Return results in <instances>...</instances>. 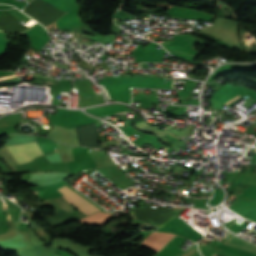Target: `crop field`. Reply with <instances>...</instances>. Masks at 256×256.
<instances>
[{"instance_id": "1", "label": "crop field", "mask_w": 256, "mask_h": 256, "mask_svg": "<svg viewBox=\"0 0 256 256\" xmlns=\"http://www.w3.org/2000/svg\"><path fill=\"white\" fill-rule=\"evenodd\" d=\"M7 148L10 150L19 164L30 162L32 158L42 154L36 142L9 145Z\"/></svg>"}, {"instance_id": "2", "label": "crop field", "mask_w": 256, "mask_h": 256, "mask_svg": "<svg viewBox=\"0 0 256 256\" xmlns=\"http://www.w3.org/2000/svg\"><path fill=\"white\" fill-rule=\"evenodd\" d=\"M58 190L64 194L61 197H63L65 200H67L69 203H71L72 205H74L75 207H77L87 215L99 210L94 205H92L91 203L83 199L81 196H79L78 194H76L66 186Z\"/></svg>"}, {"instance_id": "3", "label": "crop field", "mask_w": 256, "mask_h": 256, "mask_svg": "<svg viewBox=\"0 0 256 256\" xmlns=\"http://www.w3.org/2000/svg\"><path fill=\"white\" fill-rule=\"evenodd\" d=\"M175 235L171 233H158L153 232L149 237H147L141 245L152 248L159 251L171 238Z\"/></svg>"}, {"instance_id": "4", "label": "crop field", "mask_w": 256, "mask_h": 256, "mask_svg": "<svg viewBox=\"0 0 256 256\" xmlns=\"http://www.w3.org/2000/svg\"><path fill=\"white\" fill-rule=\"evenodd\" d=\"M223 244H227V245H230V246H233V247H237V248H240V249H243V250H246V251H249V252H252V253L256 254V246L255 245H253L249 242H246V241H244L240 238H237L234 235H232L227 240H225L223 242Z\"/></svg>"}, {"instance_id": "5", "label": "crop field", "mask_w": 256, "mask_h": 256, "mask_svg": "<svg viewBox=\"0 0 256 256\" xmlns=\"http://www.w3.org/2000/svg\"><path fill=\"white\" fill-rule=\"evenodd\" d=\"M110 216L111 215H109V214L97 212L91 216L82 218V219L78 220L77 222H83V223L102 226L110 218Z\"/></svg>"}, {"instance_id": "6", "label": "crop field", "mask_w": 256, "mask_h": 256, "mask_svg": "<svg viewBox=\"0 0 256 256\" xmlns=\"http://www.w3.org/2000/svg\"><path fill=\"white\" fill-rule=\"evenodd\" d=\"M7 33L0 32V54L5 53V49L8 44V39L6 38Z\"/></svg>"}, {"instance_id": "7", "label": "crop field", "mask_w": 256, "mask_h": 256, "mask_svg": "<svg viewBox=\"0 0 256 256\" xmlns=\"http://www.w3.org/2000/svg\"><path fill=\"white\" fill-rule=\"evenodd\" d=\"M237 96H238V95H237ZM238 97H239V96H238ZM238 97L232 99L231 101H229V102H227V103H225V104H226V105L229 104L230 102L234 101V100L237 99Z\"/></svg>"}, {"instance_id": "8", "label": "crop field", "mask_w": 256, "mask_h": 256, "mask_svg": "<svg viewBox=\"0 0 256 256\" xmlns=\"http://www.w3.org/2000/svg\"><path fill=\"white\" fill-rule=\"evenodd\" d=\"M214 256H216V254H214Z\"/></svg>"}, {"instance_id": "9", "label": "crop field", "mask_w": 256, "mask_h": 256, "mask_svg": "<svg viewBox=\"0 0 256 256\" xmlns=\"http://www.w3.org/2000/svg\"><path fill=\"white\" fill-rule=\"evenodd\" d=\"M130 112V111H129ZM122 113V112H121Z\"/></svg>"}]
</instances>
